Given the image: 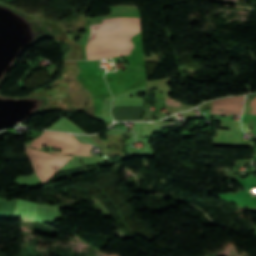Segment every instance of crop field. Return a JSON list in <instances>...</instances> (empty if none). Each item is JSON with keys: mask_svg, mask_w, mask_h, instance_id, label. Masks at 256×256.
I'll return each instance as SVG.
<instances>
[{"mask_svg": "<svg viewBox=\"0 0 256 256\" xmlns=\"http://www.w3.org/2000/svg\"><path fill=\"white\" fill-rule=\"evenodd\" d=\"M222 128L229 130L217 129V137L213 136L214 145H242L251 146L250 141H241L243 134L239 122L221 121ZM231 135V137H229Z\"/></svg>", "mask_w": 256, "mask_h": 256, "instance_id": "4", "label": "crop field"}, {"mask_svg": "<svg viewBox=\"0 0 256 256\" xmlns=\"http://www.w3.org/2000/svg\"><path fill=\"white\" fill-rule=\"evenodd\" d=\"M62 219L59 208L51 205L38 204L37 221L52 224Z\"/></svg>", "mask_w": 256, "mask_h": 256, "instance_id": "6", "label": "crop field"}, {"mask_svg": "<svg viewBox=\"0 0 256 256\" xmlns=\"http://www.w3.org/2000/svg\"><path fill=\"white\" fill-rule=\"evenodd\" d=\"M26 152L41 182H46L59 169L74 158L73 156L48 154L33 150L29 147H26Z\"/></svg>", "mask_w": 256, "mask_h": 256, "instance_id": "3", "label": "crop field"}, {"mask_svg": "<svg viewBox=\"0 0 256 256\" xmlns=\"http://www.w3.org/2000/svg\"><path fill=\"white\" fill-rule=\"evenodd\" d=\"M41 144L63 149L62 152L54 153L92 156L89 154V150L93 148L92 145L81 144L74 138L73 135L70 134L44 131L40 137L30 144V146L39 149Z\"/></svg>", "mask_w": 256, "mask_h": 256, "instance_id": "2", "label": "crop field"}, {"mask_svg": "<svg viewBox=\"0 0 256 256\" xmlns=\"http://www.w3.org/2000/svg\"><path fill=\"white\" fill-rule=\"evenodd\" d=\"M244 96L228 97L220 100L213 101L212 109L223 110H212V113L216 114H235L240 115L243 108Z\"/></svg>", "mask_w": 256, "mask_h": 256, "instance_id": "5", "label": "crop field"}, {"mask_svg": "<svg viewBox=\"0 0 256 256\" xmlns=\"http://www.w3.org/2000/svg\"><path fill=\"white\" fill-rule=\"evenodd\" d=\"M37 204L18 199L14 217L36 221Z\"/></svg>", "mask_w": 256, "mask_h": 256, "instance_id": "7", "label": "crop field"}, {"mask_svg": "<svg viewBox=\"0 0 256 256\" xmlns=\"http://www.w3.org/2000/svg\"><path fill=\"white\" fill-rule=\"evenodd\" d=\"M251 105H254L252 114H255V115H256V97H255L254 100L252 101Z\"/></svg>", "mask_w": 256, "mask_h": 256, "instance_id": "9", "label": "crop field"}, {"mask_svg": "<svg viewBox=\"0 0 256 256\" xmlns=\"http://www.w3.org/2000/svg\"><path fill=\"white\" fill-rule=\"evenodd\" d=\"M103 24L90 25L91 34L86 47L87 59H102L130 55L131 37L140 32V19L117 17L102 20Z\"/></svg>", "mask_w": 256, "mask_h": 256, "instance_id": "1", "label": "crop field"}, {"mask_svg": "<svg viewBox=\"0 0 256 256\" xmlns=\"http://www.w3.org/2000/svg\"><path fill=\"white\" fill-rule=\"evenodd\" d=\"M242 124H243V128H244L245 132L250 131V128H249V125L247 122H242Z\"/></svg>", "mask_w": 256, "mask_h": 256, "instance_id": "8", "label": "crop field"}, {"mask_svg": "<svg viewBox=\"0 0 256 256\" xmlns=\"http://www.w3.org/2000/svg\"><path fill=\"white\" fill-rule=\"evenodd\" d=\"M167 104L179 106L180 103L166 101Z\"/></svg>", "mask_w": 256, "mask_h": 256, "instance_id": "10", "label": "crop field"}]
</instances>
